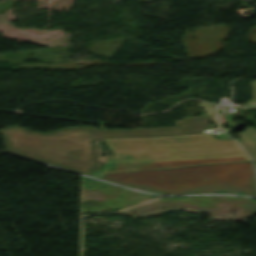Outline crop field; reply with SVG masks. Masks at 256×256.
<instances>
[{"label":"crop field","mask_w":256,"mask_h":256,"mask_svg":"<svg viewBox=\"0 0 256 256\" xmlns=\"http://www.w3.org/2000/svg\"><path fill=\"white\" fill-rule=\"evenodd\" d=\"M242 140L239 141L256 161V129L247 127L244 132L237 133Z\"/></svg>","instance_id":"obj_5"},{"label":"crop field","mask_w":256,"mask_h":256,"mask_svg":"<svg viewBox=\"0 0 256 256\" xmlns=\"http://www.w3.org/2000/svg\"><path fill=\"white\" fill-rule=\"evenodd\" d=\"M214 104L201 101L197 107L206 113L187 120H177L176 125L171 127H155L136 130H102L103 139L132 138V137H162L202 133L208 127L209 122H216ZM218 125V124H217Z\"/></svg>","instance_id":"obj_4"},{"label":"crop field","mask_w":256,"mask_h":256,"mask_svg":"<svg viewBox=\"0 0 256 256\" xmlns=\"http://www.w3.org/2000/svg\"><path fill=\"white\" fill-rule=\"evenodd\" d=\"M103 179L149 192H224L256 196V183L248 162L113 173L107 174Z\"/></svg>","instance_id":"obj_2"},{"label":"crop field","mask_w":256,"mask_h":256,"mask_svg":"<svg viewBox=\"0 0 256 256\" xmlns=\"http://www.w3.org/2000/svg\"><path fill=\"white\" fill-rule=\"evenodd\" d=\"M255 164V168H256V163H254Z\"/></svg>","instance_id":"obj_8"},{"label":"crop field","mask_w":256,"mask_h":256,"mask_svg":"<svg viewBox=\"0 0 256 256\" xmlns=\"http://www.w3.org/2000/svg\"><path fill=\"white\" fill-rule=\"evenodd\" d=\"M219 120H220V122L225 123V117H220V116H219Z\"/></svg>","instance_id":"obj_7"},{"label":"crop field","mask_w":256,"mask_h":256,"mask_svg":"<svg viewBox=\"0 0 256 256\" xmlns=\"http://www.w3.org/2000/svg\"><path fill=\"white\" fill-rule=\"evenodd\" d=\"M0 134L8 152L85 174L99 164L96 142L102 139L101 130L70 127L40 133L11 126Z\"/></svg>","instance_id":"obj_3"},{"label":"crop field","mask_w":256,"mask_h":256,"mask_svg":"<svg viewBox=\"0 0 256 256\" xmlns=\"http://www.w3.org/2000/svg\"><path fill=\"white\" fill-rule=\"evenodd\" d=\"M113 156L100 157L104 166L91 176L124 170L174 168L232 161H250L233 140L216 139L209 133L190 137L104 140Z\"/></svg>","instance_id":"obj_1"},{"label":"crop field","mask_w":256,"mask_h":256,"mask_svg":"<svg viewBox=\"0 0 256 256\" xmlns=\"http://www.w3.org/2000/svg\"><path fill=\"white\" fill-rule=\"evenodd\" d=\"M253 90V98L249 101H247L246 106H256V81H253L250 83Z\"/></svg>","instance_id":"obj_6"}]
</instances>
